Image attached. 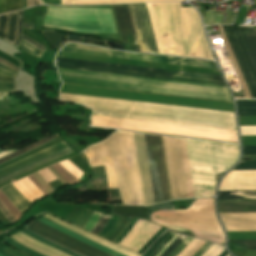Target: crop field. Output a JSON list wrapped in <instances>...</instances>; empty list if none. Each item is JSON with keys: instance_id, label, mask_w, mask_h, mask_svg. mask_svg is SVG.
<instances>
[{"instance_id": "92a150f3", "label": "crop field", "mask_w": 256, "mask_h": 256, "mask_svg": "<svg viewBox=\"0 0 256 256\" xmlns=\"http://www.w3.org/2000/svg\"><path fill=\"white\" fill-rule=\"evenodd\" d=\"M23 7L22 0H0V14Z\"/></svg>"}, {"instance_id": "73cf0c24", "label": "crop field", "mask_w": 256, "mask_h": 256, "mask_svg": "<svg viewBox=\"0 0 256 256\" xmlns=\"http://www.w3.org/2000/svg\"><path fill=\"white\" fill-rule=\"evenodd\" d=\"M0 73L3 74V75H6V76L12 77V78H14V76H15L14 74L8 73V72L3 71L1 69H0Z\"/></svg>"}, {"instance_id": "22f410ed", "label": "crop field", "mask_w": 256, "mask_h": 256, "mask_svg": "<svg viewBox=\"0 0 256 256\" xmlns=\"http://www.w3.org/2000/svg\"><path fill=\"white\" fill-rule=\"evenodd\" d=\"M38 221H40V222H42V223H44V224H46V225H48V226H50V227H52L54 229H57V230L65 233V234H67V235H69V236H71V237L81 241V242H84V243H86V244H88V245H90L92 247H95V248H97V249H99V250H101L103 252H106V253H108V254H110L112 256H125V255H123L121 253H118V252H116V251H114V250H112V249H110L108 247H105V246H103V245H101V244H99L97 242H94V241H92V240H90V239H88V238H86L84 236H81V235H79V234H77V233H75L73 231H70V230L65 229L63 227L55 225L56 223L53 224V223L47 221L44 218H41Z\"/></svg>"}, {"instance_id": "89e229c0", "label": "crop field", "mask_w": 256, "mask_h": 256, "mask_svg": "<svg viewBox=\"0 0 256 256\" xmlns=\"http://www.w3.org/2000/svg\"><path fill=\"white\" fill-rule=\"evenodd\" d=\"M0 68L5 69V70H7V71H9V72L16 73V72L12 71L11 69L7 68L6 66H4V65H2V64H0Z\"/></svg>"}, {"instance_id": "0bd39190", "label": "crop field", "mask_w": 256, "mask_h": 256, "mask_svg": "<svg viewBox=\"0 0 256 256\" xmlns=\"http://www.w3.org/2000/svg\"><path fill=\"white\" fill-rule=\"evenodd\" d=\"M22 232H24V233H26V234H28V235H30V236L36 238L37 240H39V241H41V242H43V243H45V244H48V245H50V246H52V247H54V248H56V249L62 250V251L66 252V253H68V254H70V255H72V256H75V255H73V254H71V253H69V252H67V251H65V250H63V249H61V248H59V247H57V246H54V245H52V244H50V243H48V242H45V241L39 239L38 237H36V236H34V235L28 233V232L25 231V230H23Z\"/></svg>"}, {"instance_id": "1f2cbd36", "label": "crop field", "mask_w": 256, "mask_h": 256, "mask_svg": "<svg viewBox=\"0 0 256 256\" xmlns=\"http://www.w3.org/2000/svg\"><path fill=\"white\" fill-rule=\"evenodd\" d=\"M23 27L33 28V26H32V25H30V24H26V23H23ZM33 29H34V28H33Z\"/></svg>"}, {"instance_id": "f4fd0767", "label": "crop field", "mask_w": 256, "mask_h": 256, "mask_svg": "<svg viewBox=\"0 0 256 256\" xmlns=\"http://www.w3.org/2000/svg\"><path fill=\"white\" fill-rule=\"evenodd\" d=\"M61 51L217 69L215 63L210 61L115 51L96 46L74 43H69Z\"/></svg>"}, {"instance_id": "a9b5d70f", "label": "crop field", "mask_w": 256, "mask_h": 256, "mask_svg": "<svg viewBox=\"0 0 256 256\" xmlns=\"http://www.w3.org/2000/svg\"><path fill=\"white\" fill-rule=\"evenodd\" d=\"M236 250H248L249 244H238L236 240L232 241ZM239 243H250L249 250H256V240H238Z\"/></svg>"}, {"instance_id": "b54c1fbb", "label": "crop field", "mask_w": 256, "mask_h": 256, "mask_svg": "<svg viewBox=\"0 0 256 256\" xmlns=\"http://www.w3.org/2000/svg\"><path fill=\"white\" fill-rule=\"evenodd\" d=\"M0 62H1L2 64L6 65L7 67H9V68L15 70L16 72L19 70V69L16 68L14 65H12L11 63H9V62H7V61L1 59V58H0Z\"/></svg>"}, {"instance_id": "4a817a6b", "label": "crop field", "mask_w": 256, "mask_h": 256, "mask_svg": "<svg viewBox=\"0 0 256 256\" xmlns=\"http://www.w3.org/2000/svg\"><path fill=\"white\" fill-rule=\"evenodd\" d=\"M62 140H63V139H62ZM62 140H61L60 137L55 138V139H53V140H50V141H48V142H46V143H44V144H42V145H40V146H38V147H36V148H34V149H32V150L26 152V153H23V154H21V155H19V156H16V157H14V158H12V159H10V160H8V161H6V162L0 164V169L3 168V167L8 166V165H10V164H12V163H14V162L20 160V159H23V158H25V157H27V156H29V155H31V154L37 152V151H40V150H42V149H45V148H47V147H49V146H52V145H54V144H57V143L61 142Z\"/></svg>"}, {"instance_id": "e52e79f7", "label": "crop field", "mask_w": 256, "mask_h": 256, "mask_svg": "<svg viewBox=\"0 0 256 256\" xmlns=\"http://www.w3.org/2000/svg\"><path fill=\"white\" fill-rule=\"evenodd\" d=\"M128 5L139 42L140 50L145 52L158 53L146 4L136 3Z\"/></svg>"}, {"instance_id": "d1516ede", "label": "crop field", "mask_w": 256, "mask_h": 256, "mask_svg": "<svg viewBox=\"0 0 256 256\" xmlns=\"http://www.w3.org/2000/svg\"><path fill=\"white\" fill-rule=\"evenodd\" d=\"M18 12L0 16V38L14 43L16 39Z\"/></svg>"}, {"instance_id": "425ffa30", "label": "crop field", "mask_w": 256, "mask_h": 256, "mask_svg": "<svg viewBox=\"0 0 256 256\" xmlns=\"http://www.w3.org/2000/svg\"><path fill=\"white\" fill-rule=\"evenodd\" d=\"M217 247V245L213 244L202 256H209Z\"/></svg>"}, {"instance_id": "1d79db26", "label": "crop field", "mask_w": 256, "mask_h": 256, "mask_svg": "<svg viewBox=\"0 0 256 256\" xmlns=\"http://www.w3.org/2000/svg\"><path fill=\"white\" fill-rule=\"evenodd\" d=\"M3 150L2 149H0V152H2Z\"/></svg>"}, {"instance_id": "cbeb9de0", "label": "crop field", "mask_w": 256, "mask_h": 256, "mask_svg": "<svg viewBox=\"0 0 256 256\" xmlns=\"http://www.w3.org/2000/svg\"><path fill=\"white\" fill-rule=\"evenodd\" d=\"M219 213L256 212V201L250 202H218Z\"/></svg>"}, {"instance_id": "5a996713", "label": "crop field", "mask_w": 256, "mask_h": 256, "mask_svg": "<svg viewBox=\"0 0 256 256\" xmlns=\"http://www.w3.org/2000/svg\"><path fill=\"white\" fill-rule=\"evenodd\" d=\"M144 202L154 203L143 134L133 133Z\"/></svg>"}, {"instance_id": "34b2d1b8", "label": "crop field", "mask_w": 256, "mask_h": 256, "mask_svg": "<svg viewBox=\"0 0 256 256\" xmlns=\"http://www.w3.org/2000/svg\"><path fill=\"white\" fill-rule=\"evenodd\" d=\"M56 66L63 68H73V69H83V70H92V71H101V72H110V73H119V74H128V75H137V76H146V77H156V78H166L175 81H185V82H194V83H203V84H213V85H222L226 86L221 78L217 75L206 74L207 79L217 80H201V78H206L205 74L200 73H190V72H180V71H170V70H160V69H150L134 66H125L117 64H108L92 61H83L67 58H56ZM160 71L166 73L153 72Z\"/></svg>"}, {"instance_id": "eef30255", "label": "crop field", "mask_w": 256, "mask_h": 256, "mask_svg": "<svg viewBox=\"0 0 256 256\" xmlns=\"http://www.w3.org/2000/svg\"><path fill=\"white\" fill-rule=\"evenodd\" d=\"M118 217H113L111 218V220L106 224V226L103 228V230L100 232L99 236L101 237H105V235L113 228V226L116 224V222L118 221Z\"/></svg>"}, {"instance_id": "733c2abd", "label": "crop field", "mask_w": 256, "mask_h": 256, "mask_svg": "<svg viewBox=\"0 0 256 256\" xmlns=\"http://www.w3.org/2000/svg\"><path fill=\"white\" fill-rule=\"evenodd\" d=\"M174 235V233L168 231L162 234L159 239L147 249L143 256H156Z\"/></svg>"}, {"instance_id": "28ad6ade", "label": "crop field", "mask_w": 256, "mask_h": 256, "mask_svg": "<svg viewBox=\"0 0 256 256\" xmlns=\"http://www.w3.org/2000/svg\"><path fill=\"white\" fill-rule=\"evenodd\" d=\"M65 148H68V146L64 142H62V143H59V144L54 145L52 147H49L45 150H42L40 152H37V153H35V154L25 158V159L13 164V165H10L6 168L1 169L0 170V177L6 175L8 173H11V172H13V171H15L19 168H22V167H24L28 164H31V163L39 160V159H42V158H44L48 155H51V154H53V153H55L59 150L65 149Z\"/></svg>"}, {"instance_id": "120bbe31", "label": "crop field", "mask_w": 256, "mask_h": 256, "mask_svg": "<svg viewBox=\"0 0 256 256\" xmlns=\"http://www.w3.org/2000/svg\"><path fill=\"white\" fill-rule=\"evenodd\" d=\"M23 19V10L19 11V21H18V28H17V39H16V46L19 44L20 35H21V24Z\"/></svg>"}, {"instance_id": "d32e631a", "label": "crop field", "mask_w": 256, "mask_h": 256, "mask_svg": "<svg viewBox=\"0 0 256 256\" xmlns=\"http://www.w3.org/2000/svg\"><path fill=\"white\" fill-rule=\"evenodd\" d=\"M191 240L193 239L186 237V239L183 242L189 243ZM183 242L169 256H176L187 245V243Z\"/></svg>"}, {"instance_id": "c035e120", "label": "crop field", "mask_w": 256, "mask_h": 256, "mask_svg": "<svg viewBox=\"0 0 256 256\" xmlns=\"http://www.w3.org/2000/svg\"><path fill=\"white\" fill-rule=\"evenodd\" d=\"M137 219H133L132 223L130 224L129 228L126 230V232L116 241V243L118 244L127 234L128 232L132 229V227L134 226V224L136 223Z\"/></svg>"}, {"instance_id": "8a807250", "label": "crop field", "mask_w": 256, "mask_h": 256, "mask_svg": "<svg viewBox=\"0 0 256 256\" xmlns=\"http://www.w3.org/2000/svg\"><path fill=\"white\" fill-rule=\"evenodd\" d=\"M94 114L236 130L234 113L61 93Z\"/></svg>"}, {"instance_id": "730fd06b", "label": "crop field", "mask_w": 256, "mask_h": 256, "mask_svg": "<svg viewBox=\"0 0 256 256\" xmlns=\"http://www.w3.org/2000/svg\"><path fill=\"white\" fill-rule=\"evenodd\" d=\"M20 47H22L25 51L37 56L40 58V56L43 54V51L33 47L32 45H30L29 43L21 40L20 41V44H19Z\"/></svg>"}, {"instance_id": "25e5ab78", "label": "crop field", "mask_w": 256, "mask_h": 256, "mask_svg": "<svg viewBox=\"0 0 256 256\" xmlns=\"http://www.w3.org/2000/svg\"><path fill=\"white\" fill-rule=\"evenodd\" d=\"M178 236V234H176L175 236H174V238L169 242V244L157 255V256H160L163 252H164V250L175 240V238Z\"/></svg>"}, {"instance_id": "b80d0937", "label": "crop field", "mask_w": 256, "mask_h": 256, "mask_svg": "<svg viewBox=\"0 0 256 256\" xmlns=\"http://www.w3.org/2000/svg\"><path fill=\"white\" fill-rule=\"evenodd\" d=\"M68 150H70V148H68V149H66V150H63V151H60V152H58V153H56V154H59V153H61V152L68 151ZM56 154H54V155H56ZM54 155H51V156H54ZM51 156H49V157H51ZM49 157H47V158H49ZM44 159H46V158H44ZM44 159H42V160H44ZM42 160H40V161H42ZM40 161H38V162H40ZM38 162H35V163H33V164H31V165H28V166H26V167H24V168H22V169H19V170L15 171V172H13V173H11V174H8V175H6V176H4V177H2V178H0V179H3V178H5V177H7V176H10V175H12V174H15V173H17V172H19V171H21V170H23V169H25V168H27V167H29V166H32V165H34V164H36V163H38Z\"/></svg>"}, {"instance_id": "bd1437ed", "label": "crop field", "mask_w": 256, "mask_h": 256, "mask_svg": "<svg viewBox=\"0 0 256 256\" xmlns=\"http://www.w3.org/2000/svg\"><path fill=\"white\" fill-rule=\"evenodd\" d=\"M185 239V236L179 235L177 239L166 249V251L161 256H167L170 252H172L178 244Z\"/></svg>"}, {"instance_id": "750c4746", "label": "crop field", "mask_w": 256, "mask_h": 256, "mask_svg": "<svg viewBox=\"0 0 256 256\" xmlns=\"http://www.w3.org/2000/svg\"><path fill=\"white\" fill-rule=\"evenodd\" d=\"M109 219H110V216L103 215L100 221L95 226V228L92 230V233L98 235V233L101 231V229L108 222Z\"/></svg>"}, {"instance_id": "028f5c9d", "label": "crop field", "mask_w": 256, "mask_h": 256, "mask_svg": "<svg viewBox=\"0 0 256 256\" xmlns=\"http://www.w3.org/2000/svg\"><path fill=\"white\" fill-rule=\"evenodd\" d=\"M0 210L9 222L12 223V222L16 221L14 219V217L7 211V209L3 206V204L1 202H0Z\"/></svg>"}, {"instance_id": "9d1cf04e", "label": "crop field", "mask_w": 256, "mask_h": 256, "mask_svg": "<svg viewBox=\"0 0 256 256\" xmlns=\"http://www.w3.org/2000/svg\"><path fill=\"white\" fill-rule=\"evenodd\" d=\"M3 97H0V99H2Z\"/></svg>"}, {"instance_id": "ae1a2a85", "label": "crop field", "mask_w": 256, "mask_h": 256, "mask_svg": "<svg viewBox=\"0 0 256 256\" xmlns=\"http://www.w3.org/2000/svg\"><path fill=\"white\" fill-rule=\"evenodd\" d=\"M233 170H256V161L240 163Z\"/></svg>"}, {"instance_id": "5866460e", "label": "crop field", "mask_w": 256, "mask_h": 256, "mask_svg": "<svg viewBox=\"0 0 256 256\" xmlns=\"http://www.w3.org/2000/svg\"><path fill=\"white\" fill-rule=\"evenodd\" d=\"M14 91V85L0 83L1 93H10Z\"/></svg>"}, {"instance_id": "214f88e0", "label": "crop field", "mask_w": 256, "mask_h": 256, "mask_svg": "<svg viewBox=\"0 0 256 256\" xmlns=\"http://www.w3.org/2000/svg\"><path fill=\"white\" fill-rule=\"evenodd\" d=\"M55 137H58V134H57V133L52 134V135H50V136H48V137H46V138H44V139H41V140H39V141H37V142H34V143H32V144H30V145H28V146H26V147H24V148H22V149H20V150H18V151H16V152H14V153H12V154H9V155H7V156H4L3 158L0 159V163L3 162V161H5V160H7V159H9V158H12V157H14V156H16V155H19V154H21V153H23V152H26V151H28V150H30V149H32V148H34V147H36V146H38V145H40V144H42V143H44V142H46V141L52 139V138H55Z\"/></svg>"}, {"instance_id": "d23c7cc5", "label": "crop field", "mask_w": 256, "mask_h": 256, "mask_svg": "<svg viewBox=\"0 0 256 256\" xmlns=\"http://www.w3.org/2000/svg\"><path fill=\"white\" fill-rule=\"evenodd\" d=\"M224 249V247L218 246L210 256H218Z\"/></svg>"}, {"instance_id": "00972430", "label": "crop field", "mask_w": 256, "mask_h": 256, "mask_svg": "<svg viewBox=\"0 0 256 256\" xmlns=\"http://www.w3.org/2000/svg\"><path fill=\"white\" fill-rule=\"evenodd\" d=\"M17 234L20 235L21 237H23L24 239H26V240H28V241H30V242H32V243L42 247V248H44V249H46L48 251H51V252H53L55 254H58L60 256H69V255H67V254H65V253H63V252H61L59 250L53 249V248H51V247H49V246H47V245H45V244H43L41 242H38V241L34 240L33 238H31L30 236H28L26 234H23L21 232H19Z\"/></svg>"}, {"instance_id": "5142ce71", "label": "crop field", "mask_w": 256, "mask_h": 256, "mask_svg": "<svg viewBox=\"0 0 256 256\" xmlns=\"http://www.w3.org/2000/svg\"><path fill=\"white\" fill-rule=\"evenodd\" d=\"M17 207V209L23 215L24 211L27 210L32 204L11 184L0 189Z\"/></svg>"}, {"instance_id": "03da06ac", "label": "crop field", "mask_w": 256, "mask_h": 256, "mask_svg": "<svg viewBox=\"0 0 256 256\" xmlns=\"http://www.w3.org/2000/svg\"><path fill=\"white\" fill-rule=\"evenodd\" d=\"M22 38L26 41H28L29 43H31L32 45L36 46L37 48L41 49V50H45L44 47H42L41 45L37 44L36 42L32 41L31 39L27 38L26 36L22 35Z\"/></svg>"}, {"instance_id": "d3111659", "label": "crop field", "mask_w": 256, "mask_h": 256, "mask_svg": "<svg viewBox=\"0 0 256 256\" xmlns=\"http://www.w3.org/2000/svg\"><path fill=\"white\" fill-rule=\"evenodd\" d=\"M0 253L3 254L4 256H26L5 245L2 248L0 247Z\"/></svg>"}, {"instance_id": "0fb4a251", "label": "crop field", "mask_w": 256, "mask_h": 256, "mask_svg": "<svg viewBox=\"0 0 256 256\" xmlns=\"http://www.w3.org/2000/svg\"><path fill=\"white\" fill-rule=\"evenodd\" d=\"M5 95H7V94H0V96H5Z\"/></svg>"}, {"instance_id": "3316defc", "label": "crop field", "mask_w": 256, "mask_h": 256, "mask_svg": "<svg viewBox=\"0 0 256 256\" xmlns=\"http://www.w3.org/2000/svg\"><path fill=\"white\" fill-rule=\"evenodd\" d=\"M117 22L119 25L122 41L124 43L136 44L132 24L130 21L128 9L126 4L113 5Z\"/></svg>"}, {"instance_id": "c21b1889", "label": "crop field", "mask_w": 256, "mask_h": 256, "mask_svg": "<svg viewBox=\"0 0 256 256\" xmlns=\"http://www.w3.org/2000/svg\"><path fill=\"white\" fill-rule=\"evenodd\" d=\"M212 244L206 243L198 252H196L193 256H201Z\"/></svg>"}, {"instance_id": "bc2a9ffb", "label": "crop field", "mask_w": 256, "mask_h": 256, "mask_svg": "<svg viewBox=\"0 0 256 256\" xmlns=\"http://www.w3.org/2000/svg\"><path fill=\"white\" fill-rule=\"evenodd\" d=\"M239 116H256V101H236Z\"/></svg>"}, {"instance_id": "e1f06a70", "label": "crop field", "mask_w": 256, "mask_h": 256, "mask_svg": "<svg viewBox=\"0 0 256 256\" xmlns=\"http://www.w3.org/2000/svg\"><path fill=\"white\" fill-rule=\"evenodd\" d=\"M243 154H256V146H243Z\"/></svg>"}, {"instance_id": "5d738f31", "label": "crop field", "mask_w": 256, "mask_h": 256, "mask_svg": "<svg viewBox=\"0 0 256 256\" xmlns=\"http://www.w3.org/2000/svg\"><path fill=\"white\" fill-rule=\"evenodd\" d=\"M0 82H4V83H13V79L5 77L3 75L0 74Z\"/></svg>"}, {"instance_id": "412701ff", "label": "crop field", "mask_w": 256, "mask_h": 256, "mask_svg": "<svg viewBox=\"0 0 256 256\" xmlns=\"http://www.w3.org/2000/svg\"><path fill=\"white\" fill-rule=\"evenodd\" d=\"M222 26L224 28V31H225V34L227 36L228 41L229 42L236 41L242 55H244V57L246 59V62L248 64L249 69L251 71V74L253 76L252 79H253L254 86H250V84L253 85L252 80H251L252 76H251L250 71L247 67V64L245 62L244 57H242L241 54H240V51H239L236 43L235 42L229 43L231 48H232V51H233V53L236 57V60L239 64V67H240L241 71H242L243 66L241 68V66H240L241 62L239 63V61H242L243 65H244L245 71H246L248 79L250 81V84H249L247 76L245 74L246 80H247L246 83L248 85V88L251 92L252 97L256 98V69L252 70V68L253 69L256 68V29H251L252 35H247V34H251L250 28H241V27H237V26H233V25H222ZM242 35H247V36H243V37H244L249 49H246L248 47H247ZM243 49H246L244 51H245V53H246V55L249 59V62L251 64L252 68H251V66H250V64L247 60V57H246ZM242 63H241V65H242ZM244 68H243V71H244ZM243 71H242V73H243ZM245 71H244V73H245ZM243 76H244V74H243Z\"/></svg>"}, {"instance_id": "ac0d7876", "label": "crop field", "mask_w": 256, "mask_h": 256, "mask_svg": "<svg viewBox=\"0 0 256 256\" xmlns=\"http://www.w3.org/2000/svg\"><path fill=\"white\" fill-rule=\"evenodd\" d=\"M195 197L214 195V176L233 166L239 146L186 139Z\"/></svg>"}, {"instance_id": "d8731c3e", "label": "crop field", "mask_w": 256, "mask_h": 256, "mask_svg": "<svg viewBox=\"0 0 256 256\" xmlns=\"http://www.w3.org/2000/svg\"><path fill=\"white\" fill-rule=\"evenodd\" d=\"M28 228L34 230L38 234L49 238L59 244H62L66 247H69L73 250H76L87 256H110L105 254L95 248H92L84 243H81L57 230H54L38 221L32 223Z\"/></svg>"}, {"instance_id": "dbb93151", "label": "crop field", "mask_w": 256, "mask_h": 256, "mask_svg": "<svg viewBox=\"0 0 256 256\" xmlns=\"http://www.w3.org/2000/svg\"><path fill=\"white\" fill-rule=\"evenodd\" d=\"M228 253L224 250L219 256H226Z\"/></svg>"}, {"instance_id": "0765c3eb", "label": "crop field", "mask_w": 256, "mask_h": 256, "mask_svg": "<svg viewBox=\"0 0 256 256\" xmlns=\"http://www.w3.org/2000/svg\"><path fill=\"white\" fill-rule=\"evenodd\" d=\"M0 256H2V255L0 254Z\"/></svg>"}, {"instance_id": "1d83c4d3", "label": "crop field", "mask_w": 256, "mask_h": 256, "mask_svg": "<svg viewBox=\"0 0 256 256\" xmlns=\"http://www.w3.org/2000/svg\"><path fill=\"white\" fill-rule=\"evenodd\" d=\"M26 230L29 231L30 233H32V234H34V235H36V236H38V237L44 239V240H46V241H48V242H50V243H52V244H54V245H57V246H59V247L65 249V250H68V251H70V252H72V253H74V254H76V255H78V256H84V255L79 254V253H77V252H75V251H72V250H70V249H68V248H66V247H64V246H62V245H59V244H57V243H55V242H53V241H51V240H48V239H46V238H44V237L38 235L37 233H35V232H33V231L27 229V228H26Z\"/></svg>"}, {"instance_id": "dafd665d", "label": "crop field", "mask_w": 256, "mask_h": 256, "mask_svg": "<svg viewBox=\"0 0 256 256\" xmlns=\"http://www.w3.org/2000/svg\"><path fill=\"white\" fill-rule=\"evenodd\" d=\"M72 152H74V151L70 150V151H68V152H65V153H62V154H60V155L54 156V157H52V158L46 159V160H44V161H42V162H40V163H38V164H36V165H34V166H32V167H30V168H28V169L22 171V172H19V173L15 174V175H12V176H10V177H7V178L1 180V181H0V184L3 183V182H5V181H7V180H9V179H11V178H14V177H16V176H18V175H21V174L25 173V172H28V171H30V170H32V169L38 167V166H41V165H43V164H45V163H48V162H50V161H52V160H54V159H56V158H58V157L64 156V155L69 154V153H72Z\"/></svg>"}, {"instance_id": "4177f3b9", "label": "crop field", "mask_w": 256, "mask_h": 256, "mask_svg": "<svg viewBox=\"0 0 256 256\" xmlns=\"http://www.w3.org/2000/svg\"><path fill=\"white\" fill-rule=\"evenodd\" d=\"M4 242L8 243L9 245L13 246L14 248H16V249H18V250H20V251L25 252V253H27V254H30V255H32V256H42V255H40V254H38V253H36V252L30 250V249H28V248H26V247H24V246L18 244L16 241H14V240H12V239H10V238L7 239V240L4 241ZM30 255H29V256H30Z\"/></svg>"}, {"instance_id": "dd49c442", "label": "crop field", "mask_w": 256, "mask_h": 256, "mask_svg": "<svg viewBox=\"0 0 256 256\" xmlns=\"http://www.w3.org/2000/svg\"><path fill=\"white\" fill-rule=\"evenodd\" d=\"M155 203L170 200L160 136L144 134Z\"/></svg>"}, {"instance_id": "d9b57169", "label": "crop field", "mask_w": 256, "mask_h": 256, "mask_svg": "<svg viewBox=\"0 0 256 256\" xmlns=\"http://www.w3.org/2000/svg\"><path fill=\"white\" fill-rule=\"evenodd\" d=\"M218 200H256V191H219Z\"/></svg>"}, {"instance_id": "447ae74e", "label": "crop field", "mask_w": 256, "mask_h": 256, "mask_svg": "<svg viewBox=\"0 0 256 256\" xmlns=\"http://www.w3.org/2000/svg\"><path fill=\"white\" fill-rule=\"evenodd\" d=\"M227 256H230L229 254Z\"/></svg>"}]
</instances>
